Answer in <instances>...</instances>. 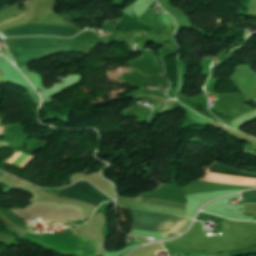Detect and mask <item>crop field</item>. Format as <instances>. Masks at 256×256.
Returning <instances> with one entry per match:
<instances>
[{
  "label": "crop field",
  "mask_w": 256,
  "mask_h": 256,
  "mask_svg": "<svg viewBox=\"0 0 256 256\" xmlns=\"http://www.w3.org/2000/svg\"><path fill=\"white\" fill-rule=\"evenodd\" d=\"M74 38L52 39L45 37H21L7 38L5 41L17 61V66L21 68L51 53H56L60 50L68 51Z\"/></svg>",
  "instance_id": "crop-field-1"
},
{
  "label": "crop field",
  "mask_w": 256,
  "mask_h": 256,
  "mask_svg": "<svg viewBox=\"0 0 256 256\" xmlns=\"http://www.w3.org/2000/svg\"><path fill=\"white\" fill-rule=\"evenodd\" d=\"M24 238L62 254L95 256V244L84 238H77L74 235L43 234L41 236H32L27 233Z\"/></svg>",
  "instance_id": "crop-field-2"
},
{
  "label": "crop field",
  "mask_w": 256,
  "mask_h": 256,
  "mask_svg": "<svg viewBox=\"0 0 256 256\" xmlns=\"http://www.w3.org/2000/svg\"><path fill=\"white\" fill-rule=\"evenodd\" d=\"M133 219V225L160 231L175 233L180 230L184 218H177L169 215L129 209ZM170 225V226H169ZM169 228L167 229V227Z\"/></svg>",
  "instance_id": "crop-field-3"
},
{
  "label": "crop field",
  "mask_w": 256,
  "mask_h": 256,
  "mask_svg": "<svg viewBox=\"0 0 256 256\" xmlns=\"http://www.w3.org/2000/svg\"><path fill=\"white\" fill-rule=\"evenodd\" d=\"M77 29L68 26L42 24V23H28L13 29L1 32V34L8 36H23V35H50L60 37H73L77 33Z\"/></svg>",
  "instance_id": "crop-field-4"
},
{
  "label": "crop field",
  "mask_w": 256,
  "mask_h": 256,
  "mask_svg": "<svg viewBox=\"0 0 256 256\" xmlns=\"http://www.w3.org/2000/svg\"><path fill=\"white\" fill-rule=\"evenodd\" d=\"M118 198L186 210V204H183V203L162 201V200L142 198V197H137L135 199L122 198V197H118ZM119 199H117V204L118 205L131 207V208H136V209H140V210H146V211H152V212H158V213H164V214H170V215H180V216L186 217V211H184V210L154 206V205H149V204L119 200Z\"/></svg>",
  "instance_id": "crop-field-5"
},
{
  "label": "crop field",
  "mask_w": 256,
  "mask_h": 256,
  "mask_svg": "<svg viewBox=\"0 0 256 256\" xmlns=\"http://www.w3.org/2000/svg\"><path fill=\"white\" fill-rule=\"evenodd\" d=\"M59 195L85 201L98 206L102 201H111L96 188L86 181H79L65 190L58 192Z\"/></svg>",
  "instance_id": "crop-field-6"
},
{
  "label": "crop field",
  "mask_w": 256,
  "mask_h": 256,
  "mask_svg": "<svg viewBox=\"0 0 256 256\" xmlns=\"http://www.w3.org/2000/svg\"><path fill=\"white\" fill-rule=\"evenodd\" d=\"M211 172H218V173H226V174H233V175H240V176H248V177H255V174H246L228 167H225L221 164L214 163L211 168L209 169Z\"/></svg>",
  "instance_id": "crop-field-7"
},
{
  "label": "crop field",
  "mask_w": 256,
  "mask_h": 256,
  "mask_svg": "<svg viewBox=\"0 0 256 256\" xmlns=\"http://www.w3.org/2000/svg\"><path fill=\"white\" fill-rule=\"evenodd\" d=\"M32 159H33V158H32ZM32 159H30V160H32ZM30 160H29V161H30ZM29 161H28V162H29ZM28 162H27V163H28ZM27 163H26V164H27ZM26 164H25V165H26ZM25 165H24V166H25ZM24 166H23V167H24Z\"/></svg>",
  "instance_id": "crop-field-8"
},
{
  "label": "crop field",
  "mask_w": 256,
  "mask_h": 256,
  "mask_svg": "<svg viewBox=\"0 0 256 256\" xmlns=\"http://www.w3.org/2000/svg\"><path fill=\"white\" fill-rule=\"evenodd\" d=\"M2 174H0V176H1Z\"/></svg>",
  "instance_id": "crop-field-9"
}]
</instances>
